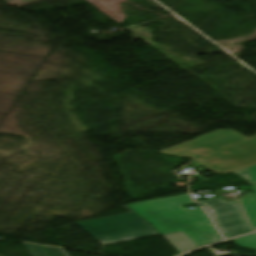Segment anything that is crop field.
<instances>
[{
  "label": "crop field",
  "mask_w": 256,
  "mask_h": 256,
  "mask_svg": "<svg viewBox=\"0 0 256 256\" xmlns=\"http://www.w3.org/2000/svg\"><path fill=\"white\" fill-rule=\"evenodd\" d=\"M219 201H224L221 198L218 199H212V200H206V201H200L199 203H206V202H219Z\"/></svg>",
  "instance_id": "obj_8"
},
{
  "label": "crop field",
  "mask_w": 256,
  "mask_h": 256,
  "mask_svg": "<svg viewBox=\"0 0 256 256\" xmlns=\"http://www.w3.org/2000/svg\"><path fill=\"white\" fill-rule=\"evenodd\" d=\"M251 184H256V165L233 172Z\"/></svg>",
  "instance_id": "obj_6"
},
{
  "label": "crop field",
  "mask_w": 256,
  "mask_h": 256,
  "mask_svg": "<svg viewBox=\"0 0 256 256\" xmlns=\"http://www.w3.org/2000/svg\"><path fill=\"white\" fill-rule=\"evenodd\" d=\"M24 247L29 251V253L32 256H48L47 253L43 250L41 246L38 245H31V244H24ZM46 251L51 255V256H68V254L63 250L59 248H52V247H45L43 246Z\"/></svg>",
  "instance_id": "obj_5"
},
{
  "label": "crop field",
  "mask_w": 256,
  "mask_h": 256,
  "mask_svg": "<svg viewBox=\"0 0 256 256\" xmlns=\"http://www.w3.org/2000/svg\"><path fill=\"white\" fill-rule=\"evenodd\" d=\"M193 202L187 194L129 206L145 217L182 253L223 240L202 208L188 211L180 206Z\"/></svg>",
  "instance_id": "obj_1"
},
{
  "label": "crop field",
  "mask_w": 256,
  "mask_h": 256,
  "mask_svg": "<svg viewBox=\"0 0 256 256\" xmlns=\"http://www.w3.org/2000/svg\"><path fill=\"white\" fill-rule=\"evenodd\" d=\"M225 238L251 232L237 201L200 204Z\"/></svg>",
  "instance_id": "obj_3"
},
{
  "label": "crop field",
  "mask_w": 256,
  "mask_h": 256,
  "mask_svg": "<svg viewBox=\"0 0 256 256\" xmlns=\"http://www.w3.org/2000/svg\"><path fill=\"white\" fill-rule=\"evenodd\" d=\"M234 242L243 248L256 249V234H252L243 238L235 239Z\"/></svg>",
  "instance_id": "obj_7"
},
{
  "label": "crop field",
  "mask_w": 256,
  "mask_h": 256,
  "mask_svg": "<svg viewBox=\"0 0 256 256\" xmlns=\"http://www.w3.org/2000/svg\"><path fill=\"white\" fill-rule=\"evenodd\" d=\"M125 208L131 213L78 222L77 225L102 244L158 234L144 219Z\"/></svg>",
  "instance_id": "obj_2"
},
{
  "label": "crop field",
  "mask_w": 256,
  "mask_h": 256,
  "mask_svg": "<svg viewBox=\"0 0 256 256\" xmlns=\"http://www.w3.org/2000/svg\"><path fill=\"white\" fill-rule=\"evenodd\" d=\"M255 191V195H256V185H252Z\"/></svg>",
  "instance_id": "obj_9"
},
{
  "label": "crop field",
  "mask_w": 256,
  "mask_h": 256,
  "mask_svg": "<svg viewBox=\"0 0 256 256\" xmlns=\"http://www.w3.org/2000/svg\"><path fill=\"white\" fill-rule=\"evenodd\" d=\"M240 201L246 211L250 223L254 230H256V197L254 193L245 194Z\"/></svg>",
  "instance_id": "obj_4"
}]
</instances>
